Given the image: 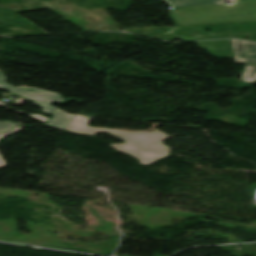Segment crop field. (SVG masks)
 <instances>
[{
    "mask_svg": "<svg viewBox=\"0 0 256 256\" xmlns=\"http://www.w3.org/2000/svg\"><path fill=\"white\" fill-rule=\"evenodd\" d=\"M174 10L168 13L177 26L256 21V0H166Z\"/></svg>",
    "mask_w": 256,
    "mask_h": 256,
    "instance_id": "obj_1",
    "label": "crop field"
},
{
    "mask_svg": "<svg viewBox=\"0 0 256 256\" xmlns=\"http://www.w3.org/2000/svg\"><path fill=\"white\" fill-rule=\"evenodd\" d=\"M87 121V118L74 116L66 131L86 135H96L98 132L109 133L113 137L126 142L125 144H110L111 146L125 155L135 157L141 164H148L152 159L168 155L167 148L158 144L160 140L168 137L155 130L152 132H128L84 127ZM129 151L132 152L130 153Z\"/></svg>",
    "mask_w": 256,
    "mask_h": 256,
    "instance_id": "obj_2",
    "label": "crop field"
},
{
    "mask_svg": "<svg viewBox=\"0 0 256 256\" xmlns=\"http://www.w3.org/2000/svg\"><path fill=\"white\" fill-rule=\"evenodd\" d=\"M7 78L0 72V89L11 91L23 98L37 101L46 105L53 106L54 104L64 101L63 96L59 94L50 93L36 88L31 87H14L6 84Z\"/></svg>",
    "mask_w": 256,
    "mask_h": 256,
    "instance_id": "obj_3",
    "label": "crop field"
},
{
    "mask_svg": "<svg viewBox=\"0 0 256 256\" xmlns=\"http://www.w3.org/2000/svg\"><path fill=\"white\" fill-rule=\"evenodd\" d=\"M72 118L73 115H69L55 109L53 113V118L45 126H49L64 131L65 127Z\"/></svg>",
    "mask_w": 256,
    "mask_h": 256,
    "instance_id": "obj_4",
    "label": "crop field"
},
{
    "mask_svg": "<svg viewBox=\"0 0 256 256\" xmlns=\"http://www.w3.org/2000/svg\"><path fill=\"white\" fill-rule=\"evenodd\" d=\"M236 63H256V48L235 55Z\"/></svg>",
    "mask_w": 256,
    "mask_h": 256,
    "instance_id": "obj_5",
    "label": "crop field"
},
{
    "mask_svg": "<svg viewBox=\"0 0 256 256\" xmlns=\"http://www.w3.org/2000/svg\"><path fill=\"white\" fill-rule=\"evenodd\" d=\"M240 80L256 82V65H245Z\"/></svg>",
    "mask_w": 256,
    "mask_h": 256,
    "instance_id": "obj_6",
    "label": "crop field"
},
{
    "mask_svg": "<svg viewBox=\"0 0 256 256\" xmlns=\"http://www.w3.org/2000/svg\"><path fill=\"white\" fill-rule=\"evenodd\" d=\"M234 55L256 47V43L232 40Z\"/></svg>",
    "mask_w": 256,
    "mask_h": 256,
    "instance_id": "obj_7",
    "label": "crop field"
},
{
    "mask_svg": "<svg viewBox=\"0 0 256 256\" xmlns=\"http://www.w3.org/2000/svg\"><path fill=\"white\" fill-rule=\"evenodd\" d=\"M16 125H17V123H13V122H9V121L0 122V132L7 131Z\"/></svg>",
    "mask_w": 256,
    "mask_h": 256,
    "instance_id": "obj_8",
    "label": "crop field"
},
{
    "mask_svg": "<svg viewBox=\"0 0 256 256\" xmlns=\"http://www.w3.org/2000/svg\"><path fill=\"white\" fill-rule=\"evenodd\" d=\"M9 109H13V108L9 107ZM13 110H15V109H13ZM15 111H18V110H15ZM18 112H20V111H18ZM20 113L25 114L27 116H30L34 119H37V120L41 121V122H46L48 120L47 118H45V117H43L39 114H26V113H23V112H20Z\"/></svg>",
    "mask_w": 256,
    "mask_h": 256,
    "instance_id": "obj_9",
    "label": "crop field"
},
{
    "mask_svg": "<svg viewBox=\"0 0 256 256\" xmlns=\"http://www.w3.org/2000/svg\"><path fill=\"white\" fill-rule=\"evenodd\" d=\"M20 129H21V128L17 126L16 128H14V129H13L12 131H10V132L0 134V138L4 137L5 135L12 134V133H14V132H16V131H18V130H20ZM5 166H6L5 162H4V160L2 159V157L0 156V168H1V167H5Z\"/></svg>",
    "mask_w": 256,
    "mask_h": 256,
    "instance_id": "obj_10",
    "label": "crop field"
},
{
    "mask_svg": "<svg viewBox=\"0 0 256 256\" xmlns=\"http://www.w3.org/2000/svg\"><path fill=\"white\" fill-rule=\"evenodd\" d=\"M34 104H35L36 106L40 107V108H43L44 111H45V114L51 115L52 112L54 111V109H52V108H49V107H46V106H42V105H39V104H36V103H34Z\"/></svg>",
    "mask_w": 256,
    "mask_h": 256,
    "instance_id": "obj_11",
    "label": "crop field"
},
{
    "mask_svg": "<svg viewBox=\"0 0 256 256\" xmlns=\"http://www.w3.org/2000/svg\"><path fill=\"white\" fill-rule=\"evenodd\" d=\"M72 100H73V99L66 100V101L62 102L61 104L64 105V104H66V103H68V102H70V101H72Z\"/></svg>",
    "mask_w": 256,
    "mask_h": 256,
    "instance_id": "obj_12",
    "label": "crop field"
},
{
    "mask_svg": "<svg viewBox=\"0 0 256 256\" xmlns=\"http://www.w3.org/2000/svg\"><path fill=\"white\" fill-rule=\"evenodd\" d=\"M0 105L5 106L6 104H5V103L0 102Z\"/></svg>",
    "mask_w": 256,
    "mask_h": 256,
    "instance_id": "obj_13",
    "label": "crop field"
}]
</instances>
